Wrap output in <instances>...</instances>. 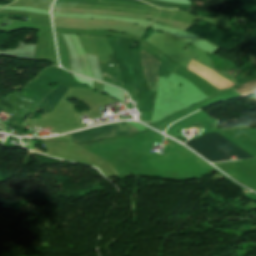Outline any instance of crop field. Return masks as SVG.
Segmentation results:
<instances>
[{"label":"crop field","mask_w":256,"mask_h":256,"mask_svg":"<svg viewBox=\"0 0 256 256\" xmlns=\"http://www.w3.org/2000/svg\"><path fill=\"white\" fill-rule=\"evenodd\" d=\"M210 162L226 161L233 155L241 158H253L252 155L236 146L218 133H207L185 143Z\"/></svg>","instance_id":"8a807250"},{"label":"crop field","mask_w":256,"mask_h":256,"mask_svg":"<svg viewBox=\"0 0 256 256\" xmlns=\"http://www.w3.org/2000/svg\"><path fill=\"white\" fill-rule=\"evenodd\" d=\"M139 132L127 122L113 123L105 126L95 127L80 132L68 134L74 141H92L102 137H114L115 135L130 136Z\"/></svg>","instance_id":"ac0d7876"},{"label":"crop field","mask_w":256,"mask_h":256,"mask_svg":"<svg viewBox=\"0 0 256 256\" xmlns=\"http://www.w3.org/2000/svg\"><path fill=\"white\" fill-rule=\"evenodd\" d=\"M69 87L57 84V88L52 89L39 103L35 110L50 111L61 96L67 91ZM63 97V96H62ZM58 103V102H57Z\"/></svg>","instance_id":"34b2d1b8"}]
</instances>
